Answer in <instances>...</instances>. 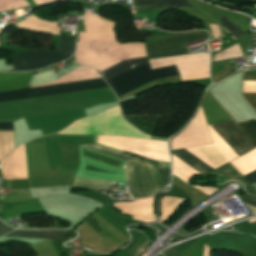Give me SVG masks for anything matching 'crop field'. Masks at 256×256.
Wrapping results in <instances>:
<instances>
[{"label":"crop field","mask_w":256,"mask_h":256,"mask_svg":"<svg viewBox=\"0 0 256 256\" xmlns=\"http://www.w3.org/2000/svg\"><path fill=\"white\" fill-rule=\"evenodd\" d=\"M211 126L239 156L256 147V129L247 122L239 125L230 121ZM211 126L208 125L213 144L187 148V150L215 169L235 159L238 155ZM187 150H175L172 151V155L200 174L205 175L214 170Z\"/></svg>","instance_id":"8a807250"},{"label":"crop field","mask_w":256,"mask_h":256,"mask_svg":"<svg viewBox=\"0 0 256 256\" xmlns=\"http://www.w3.org/2000/svg\"><path fill=\"white\" fill-rule=\"evenodd\" d=\"M30 73H0V92L30 88ZM110 89L102 78L0 93V104Z\"/></svg>","instance_id":"ac0d7876"},{"label":"crop field","mask_w":256,"mask_h":256,"mask_svg":"<svg viewBox=\"0 0 256 256\" xmlns=\"http://www.w3.org/2000/svg\"><path fill=\"white\" fill-rule=\"evenodd\" d=\"M81 147L128 161L123 168L128 188L133 198L156 195L168 185L162 166L141 161L95 145Z\"/></svg>","instance_id":"34b2d1b8"},{"label":"crop field","mask_w":256,"mask_h":256,"mask_svg":"<svg viewBox=\"0 0 256 256\" xmlns=\"http://www.w3.org/2000/svg\"><path fill=\"white\" fill-rule=\"evenodd\" d=\"M147 61V57L122 61L117 65L100 72L99 74L105 80H107L134 67H137ZM178 74L179 73L175 65L151 70L149 63L147 62L113 79L107 80V83L111 86L117 96H121L145 83Z\"/></svg>","instance_id":"412701ff"},{"label":"crop field","mask_w":256,"mask_h":256,"mask_svg":"<svg viewBox=\"0 0 256 256\" xmlns=\"http://www.w3.org/2000/svg\"><path fill=\"white\" fill-rule=\"evenodd\" d=\"M60 132L88 135L127 136L148 139L151 138L150 136L139 132L136 128L126 122L121 117L120 107H115L104 113L79 120L70 125L67 129Z\"/></svg>","instance_id":"f4fd0767"},{"label":"crop field","mask_w":256,"mask_h":256,"mask_svg":"<svg viewBox=\"0 0 256 256\" xmlns=\"http://www.w3.org/2000/svg\"><path fill=\"white\" fill-rule=\"evenodd\" d=\"M59 46L60 49L56 51L44 48L20 52L9 58L13 60L12 65L15 71L36 70L71 57L75 48L74 37L60 36Z\"/></svg>","instance_id":"dd49c442"},{"label":"crop field","mask_w":256,"mask_h":256,"mask_svg":"<svg viewBox=\"0 0 256 256\" xmlns=\"http://www.w3.org/2000/svg\"><path fill=\"white\" fill-rule=\"evenodd\" d=\"M209 37L207 32L160 34L144 39L148 59H159L188 54L184 44Z\"/></svg>","instance_id":"e52e79f7"},{"label":"crop field","mask_w":256,"mask_h":256,"mask_svg":"<svg viewBox=\"0 0 256 256\" xmlns=\"http://www.w3.org/2000/svg\"><path fill=\"white\" fill-rule=\"evenodd\" d=\"M98 143L118 150L168 153L167 142L163 141L98 136Z\"/></svg>","instance_id":"d8731c3e"},{"label":"crop field","mask_w":256,"mask_h":256,"mask_svg":"<svg viewBox=\"0 0 256 256\" xmlns=\"http://www.w3.org/2000/svg\"><path fill=\"white\" fill-rule=\"evenodd\" d=\"M200 106L205 114L208 124L231 120V118L225 113V111L218 105V103L210 96L207 91Z\"/></svg>","instance_id":"5a996713"},{"label":"crop field","mask_w":256,"mask_h":256,"mask_svg":"<svg viewBox=\"0 0 256 256\" xmlns=\"http://www.w3.org/2000/svg\"><path fill=\"white\" fill-rule=\"evenodd\" d=\"M132 7L145 9H176V7H194L186 0H133Z\"/></svg>","instance_id":"3316defc"},{"label":"crop field","mask_w":256,"mask_h":256,"mask_svg":"<svg viewBox=\"0 0 256 256\" xmlns=\"http://www.w3.org/2000/svg\"><path fill=\"white\" fill-rule=\"evenodd\" d=\"M66 231H30V230H16L7 234L5 237H24V238H41L53 239L64 237Z\"/></svg>","instance_id":"28ad6ade"},{"label":"crop field","mask_w":256,"mask_h":256,"mask_svg":"<svg viewBox=\"0 0 256 256\" xmlns=\"http://www.w3.org/2000/svg\"><path fill=\"white\" fill-rule=\"evenodd\" d=\"M224 25H226L234 34L237 38L245 35L237 26H235L225 15L222 14V16L219 19ZM220 21H218V23H220L221 26L225 27L232 35L235 39H237L234 34L226 27L224 26ZM224 28V29H225ZM225 29V30H226ZM230 34V35H231ZM231 35V36H232ZM234 39V40H235Z\"/></svg>","instance_id":"d1516ede"},{"label":"crop field","mask_w":256,"mask_h":256,"mask_svg":"<svg viewBox=\"0 0 256 256\" xmlns=\"http://www.w3.org/2000/svg\"><path fill=\"white\" fill-rule=\"evenodd\" d=\"M243 202L251 210L253 214H256V199L250 198L243 200Z\"/></svg>","instance_id":"22f410ed"},{"label":"crop field","mask_w":256,"mask_h":256,"mask_svg":"<svg viewBox=\"0 0 256 256\" xmlns=\"http://www.w3.org/2000/svg\"><path fill=\"white\" fill-rule=\"evenodd\" d=\"M243 95L256 110V93H243Z\"/></svg>","instance_id":"cbeb9de0"},{"label":"crop field","mask_w":256,"mask_h":256,"mask_svg":"<svg viewBox=\"0 0 256 256\" xmlns=\"http://www.w3.org/2000/svg\"><path fill=\"white\" fill-rule=\"evenodd\" d=\"M14 229L9 228L8 226L4 225L1 221H0V236L12 231Z\"/></svg>","instance_id":"5142ce71"},{"label":"crop field","mask_w":256,"mask_h":256,"mask_svg":"<svg viewBox=\"0 0 256 256\" xmlns=\"http://www.w3.org/2000/svg\"><path fill=\"white\" fill-rule=\"evenodd\" d=\"M165 256H182L177 250L169 249L162 253Z\"/></svg>","instance_id":"d9b57169"},{"label":"crop field","mask_w":256,"mask_h":256,"mask_svg":"<svg viewBox=\"0 0 256 256\" xmlns=\"http://www.w3.org/2000/svg\"><path fill=\"white\" fill-rule=\"evenodd\" d=\"M251 184L256 183V170L244 176Z\"/></svg>","instance_id":"733c2abd"},{"label":"crop field","mask_w":256,"mask_h":256,"mask_svg":"<svg viewBox=\"0 0 256 256\" xmlns=\"http://www.w3.org/2000/svg\"><path fill=\"white\" fill-rule=\"evenodd\" d=\"M244 80L256 81V73H244Z\"/></svg>","instance_id":"4a817a6b"},{"label":"crop field","mask_w":256,"mask_h":256,"mask_svg":"<svg viewBox=\"0 0 256 256\" xmlns=\"http://www.w3.org/2000/svg\"><path fill=\"white\" fill-rule=\"evenodd\" d=\"M0 130H13L12 123H0Z\"/></svg>","instance_id":"bc2a9ffb"},{"label":"crop field","mask_w":256,"mask_h":256,"mask_svg":"<svg viewBox=\"0 0 256 256\" xmlns=\"http://www.w3.org/2000/svg\"><path fill=\"white\" fill-rule=\"evenodd\" d=\"M114 184H117V183H114Z\"/></svg>","instance_id":"214f88e0"}]
</instances>
